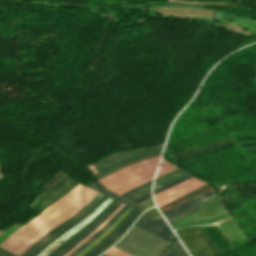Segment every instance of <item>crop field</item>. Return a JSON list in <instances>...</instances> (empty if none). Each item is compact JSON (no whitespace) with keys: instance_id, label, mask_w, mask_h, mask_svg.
Returning <instances> with one entry per match:
<instances>
[{"instance_id":"crop-field-2","label":"crop field","mask_w":256,"mask_h":256,"mask_svg":"<svg viewBox=\"0 0 256 256\" xmlns=\"http://www.w3.org/2000/svg\"><path fill=\"white\" fill-rule=\"evenodd\" d=\"M158 158L159 157H156L130 165L99 180V182L120 195L133 187L152 179L154 177Z\"/></svg>"},{"instance_id":"crop-field-20","label":"crop field","mask_w":256,"mask_h":256,"mask_svg":"<svg viewBox=\"0 0 256 256\" xmlns=\"http://www.w3.org/2000/svg\"><path fill=\"white\" fill-rule=\"evenodd\" d=\"M115 200H113L107 207H105L91 222H89L85 227L89 226L100 214H102ZM84 227V228H85ZM84 228L79 230L75 235L67 239L65 242H63L61 245H59L55 250H53L48 256H50L52 253H54L56 250H58L61 246H63L65 243H67L69 240H71L73 237H75L77 234H79Z\"/></svg>"},{"instance_id":"crop-field-16","label":"crop field","mask_w":256,"mask_h":256,"mask_svg":"<svg viewBox=\"0 0 256 256\" xmlns=\"http://www.w3.org/2000/svg\"><path fill=\"white\" fill-rule=\"evenodd\" d=\"M162 256H188L178 241H175Z\"/></svg>"},{"instance_id":"crop-field-15","label":"crop field","mask_w":256,"mask_h":256,"mask_svg":"<svg viewBox=\"0 0 256 256\" xmlns=\"http://www.w3.org/2000/svg\"><path fill=\"white\" fill-rule=\"evenodd\" d=\"M88 187H90V188H92V189H94V190H97V191H99V192H102V193H104V194H106V195L112 196V197H114L115 199H117V200H119V201H121V202H123V203H125V204H127V205H130V206H132V207H134V208H136V209H138V210H141V211H144V210H145V209H143V208L137 206L136 204H134V203H132V202H130V201H128V200H126V199H124V198H122V197H120V196H118V195H116V194H114V193H112V192H110V191H108V190L102 188L101 186L97 185V184L94 183V182L90 183Z\"/></svg>"},{"instance_id":"crop-field-13","label":"crop field","mask_w":256,"mask_h":256,"mask_svg":"<svg viewBox=\"0 0 256 256\" xmlns=\"http://www.w3.org/2000/svg\"><path fill=\"white\" fill-rule=\"evenodd\" d=\"M129 206L125 205L98 233L92 236L89 240L75 249L71 254L68 256H76L86 247H88L92 242H94L100 235H102L128 208Z\"/></svg>"},{"instance_id":"crop-field-24","label":"crop field","mask_w":256,"mask_h":256,"mask_svg":"<svg viewBox=\"0 0 256 256\" xmlns=\"http://www.w3.org/2000/svg\"><path fill=\"white\" fill-rule=\"evenodd\" d=\"M190 178H192V177L189 176V177H187V178H185V179H182V180H180V181H178V182H175V183H173V184H171V185H169V186H166V187H164V188H162V189H159V190L155 191L154 194L157 193V192H159V191H162V190H164V189H166V188H169V187H171V186H174V185H176V184H178V183H181V182H183V181H185V180H188V179H190Z\"/></svg>"},{"instance_id":"crop-field-5","label":"crop field","mask_w":256,"mask_h":256,"mask_svg":"<svg viewBox=\"0 0 256 256\" xmlns=\"http://www.w3.org/2000/svg\"><path fill=\"white\" fill-rule=\"evenodd\" d=\"M163 146H157L149 149H140L136 151H131L127 153L117 154L107 160H104L96 165L94 168L98 171L95 173V176L98 177L130 160L138 159L141 157L149 156L152 154L160 153L162 151Z\"/></svg>"},{"instance_id":"crop-field-3","label":"crop field","mask_w":256,"mask_h":256,"mask_svg":"<svg viewBox=\"0 0 256 256\" xmlns=\"http://www.w3.org/2000/svg\"><path fill=\"white\" fill-rule=\"evenodd\" d=\"M168 244L169 242L133 225L114 246L133 256H159Z\"/></svg>"},{"instance_id":"crop-field-22","label":"crop field","mask_w":256,"mask_h":256,"mask_svg":"<svg viewBox=\"0 0 256 256\" xmlns=\"http://www.w3.org/2000/svg\"><path fill=\"white\" fill-rule=\"evenodd\" d=\"M105 254H107L109 256H131V255H129L127 253H124V252H122V251H120V250H118L114 247H111L109 250H107L105 252Z\"/></svg>"},{"instance_id":"crop-field-6","label":"crop field","mask_w":256,"mask_h":256,"mask_svg":"<svg viewBox=\"0 0 256 256\" xmlns=\"http://www.w3.org/2000/svg\"><path fill=\"white\" fill-rule=\"evenodd\" d=\"M135 225L171 242L175 237L169 226L165 223L161 216L151 219L146 214H142L136 221Z\"/></svg>"},{"instance_id":"crop-field-10","label":"crop field","mask_w":256,"mask_h":256,"mask_svg":"<svg viewBox=\"0 0 256 256\" xmlns=\"http://www.w3.org/2000/svg\"><path fill=\"white\" fill-rule=\"evenodd\" d=\"M112 200L113 199H111L109 197L95 211H93L87 218H85L81 223H79L77 226H75L74 228L69 230L67 233H65L63 236H61L59 239L54 241L52 244H50L46 249H44L37 256H46L47 254H49L53 249H55L60 243H62L64 240H66L68 237H70L72 234H74L78 229L84 227L90 220H92Z\"/></svg>"},{"instance_id":"crop-field-18","label":"crop field","mask_w":256,"mask_h":256,"mask_svg":"<svg viewBox=\"0 0 256 256\" xmlns=\"http://www.w3.org/2000/svg\"><path fill=\"white\" fill-rule=\"evenodd\" d=\"M135 209H131L128 214L119 222V224L101 241H99L97 244H95L92 248H90L86 253H84L82 256H86L88 253H90L94 248H96L101 242H103L105 239H107L127 218L128 216L134 211Z\"/></svg>"},{"instance_id":"crop-field-29","label":"crop field","mask_w":256,"mask_h":256,"mask_svg":"<svg viewBox=\"0 0 256 256\" xmlns=\"http://www.w3.org/2000/svg\"><path fill=\"white\" fill-rule=\"evenodd\" d=\"M0 256H4V255H1V254H0Z\"/></svg>"},{"instance_id":"crop-field-7","label":"crop field","mask_w":256,"mask_h":256,"mask_svg":"<svg viewBox=\"0 0 256 256\" xmlns=\"http://www.w3.org/2000/svg\"><path fill=\"white\" fill-rule=\"evenodd\" d=\"M103 196V194L99 193L96 197H94L90 202H88L84 207H82L79 211H77L73 216H71L69 219L58 225L57 227L53 228L46 234H44L41 238H39L35 243H33L29 248H27L20 256H27L32 251H34L37 247H39L41 244H43L46 240H48L50 237H52L54 234H56L58 231H60L62 228L67 226L69 223H71L73 220H75L77 217H79L82 213H84L89 207H91L98 199H100Z\"/></svg>"},{"instance_id":"crop-field-21","label":"crop field","mask_w":256,"mask_h":256,"mask_svg":"<svg viewBox=\"0 0 256 256\" xmlns=\"http://www.w3.org/2000/svg\"><path fill=\"white\" fill-rule=\"evenodd\" d=\"M131 209V207H129L127 209V211L114 223V225L108 230L106 231L102 236H100L94 243H92L86 250H84L81 254H79L78 256H81L85 251H87L91 246H93L96 242H98L102 237H104L107 233H109L117 224L118 222L127 214V212ZM92 248V247H91Z\"/></svg>"},{"instance_id":"crop-field-9","label":"crop field","mask_w":256,"mask_h":256,"mask_svg":"<svg viewBox=\"0 0 256 256\" xmlns=\"http://www.w3.org/2000/svg\"><path fill=\"white\" fill-rule=\"evenodd\" d=\"M215 196L213 190H209L205 193H202L188 201H185L179 205H177L176 207L170 209L169 211L163 213L164 216L167 218V220L172 219L198 205H200L201 203L205 202L206 200H208L209 198Z\"/></svg>"},{"instance_id":"crop-field-26","label":"crop field","mask_w":256,"mask_h":256,"mask_svg":"<svg viewBox=\"0 0 256 256\" xmlns=\"http://www.w3.org/2000/svg\"><path fill=\"white\" fill-rule=\"evenodd\" d=\"M0 253H1V254H4V255H6V256H16V255H14V254H12V253H10V252L4 250V249H1V248H0Z\"/></svg>"},{"instance_id":"crop-field-28","label":"crop field","mask_w":256,"mask_h":256,"mask_svg":"<svg viewBox=\"0 0 256 256\" xmlns=\"http://www.w3.org/2000/svg\"><path fill=\"white\" fill-rule=\"evenodd\" d=\"M101 256H107V255L103 254V255H101Z\"/></svg>"},{"instance_id":"crop-field-4","label":"crop field","mask_w":256,"mask_h":256,"mask_svg":"<svg viewBox=\"0 0 256 256\" xmlns=\"http://www.w3.org/2000/svg\"><path fill=\"white\" fill-rule=\"evenodd\" d=\"M204 231L202 227L176 230L192 256H219Z\"/></svg>"},{"instance_id":"crop-field-8","label":"crop field","mask_w":256,"mask_h":256,"mask_svg":"<svg viewBox=\"0 0 256 256\" xmlns=\"http://www.w3.org/2000/svg\"><path fill=\"white\" fill-rule=\"evenodd\" d=\"M139 214L140 212L135 210L130 215V217L105 242H103L100 246H98L95 250H93L88 256L101 255L114 242L119 240V238L130 228V226L133 224V222L136 220Z\"/></svg>"},{"instance_id":"crop-field-27","label":"crop field","mask_w":256,"mask_h":256,"mask_svg":"<svg viewBox=\"0 0 256 256\" xmlns=\"http://www.w3.org/2000/svg\"><path fill=\"white\" fill-rule=\"evenodd\" d=\"M148 197H150V194H148V195H146V196H144V197H142V198H140V199H138V200H136L134 202L138 203V202H140V201H142V200H144V199H146Z\"/></svg>"},{"instance_id":"crop-field-11","label":"crop field","mask_w":256,"mask_h":256,"mask_svg":"<svg viewBox=\"0 0 256 256\" xmlns=\"http://www.w3.org/2000/svg\"><path fill=\"white\" fill-rule=\"evenodd\" d=\"M108 196H103L100 200H98L91 208H89L84 214H82L79 218H77L75 221H73L71 224H69L67 227H65L63 230L58 232L56 235H54L52 238H50L48 241H46L43 245H41L39 248H37L34 252H32L29 256H36L39 252H41L44 248H46L50 243H52L54 240L59 238L61 235H63L65 232H67L69 229L74 227L76 224H78L80 221H82L86 216H88L94 209H96L104 200H106Z\"/></svg>"},{"instance_id":"crop-field-1","label":"crop field","mask_w":256,"mask_h":256,"mask_svg":"<svg viewBox=\"0 0 256 256\" xmlns=\"http://www.w3.org/2000/svg\"><path fill=\"white\" fill-rule=\"evenodd\" d=\"M79 184L36 218L18 229L0 246L19 255L44 233L69 218L98 194Z\"/></svg>"},{"instance_id":"crop-field-17","label":"crop field","mask_w":256,"mask_h":256,"mask_svg":"<svg viewBox=\"0 0 256 256\" xmlns=\"http://www.w3.org/2000/svg\"><path fill=\"white\" fill-rule=\"evenodd\" d=\"M151 185H152V183L143 187V188H141V189H139V190H137V191H135V192H133V193H131V194H129V195H127V196H125V198H128L129 200L133 201L134 199L149 193L150 189H151Z\"/></svg>"},{"instance_id":"crop-field-14","label":"crop field","mask_w":256,"mask_h":256,"mask_svg":"<svg viewBox=\"0 0 256 256\" xmlns=\"http://www.w3.org/2000/svg\"><path fill=\"white\" fill-rule=\"evenodd\" d=\"M187 176H189V175H187V174L183 173L182 171H180L178 173H175L173 175H170L168 177H165L163 179L155 181L154 191L159 189V188H162V187H164L166 185H169V184H171V183H173L175 181H178V180H180L182 178H185Z\"/></svg>"},{"instance_id":"crop-field-25","label":"crop field","mask_w":256,"mask_h":256,"mask_svg":"<svg viewBox=\"0 0 256 256\" xmlns=\"http://www.w3.org/2000/svg\"><path fill=\"white\" fill-rule=\"evenodd\" d=\"M151 182H152V180H151V181H148V182H146V183H144V184H142V185H140L139 187H137V188H135V189H133V190H131V191H129V192H127V193L121 195V196H125V195H127V194H129V193H131V192H133V191H135V190H137L138 188H140V187H142V186H144V185H147V184H149V183H151Z\"/></svg>"},{"instance_id":"crop-field-19","label":"crop field","mask_w":256,"mask_h":256,"mask_svg":"<svg viewBox=\"0 0 256 256\" xmlns=\"http://www.w3.org/2000/svg\"><path fill=\"white\" fill-rule=\"evenodd\" d=\"M174 169L176 168L173 165L162 159L157 177Z\"/></svg>"},{"instance_id":"crop-field-23","label":"crop field","mask_w":256,"mask_h":256,"mask_svg":"<svg viewBox=\"0 0 256 256\" xmlns=\"http://www.w3.org/2000/svg\"><path fill=\"white\" fill-rule=\"evenodd\" d=\"M123 206H124V204H123L121 207H123ZM121 207H120V208H121ZM120 208H119V209H120ZM119 209H118V210H119ZM118 210H117V211H118ZM117 211H116V212H117ZM116 212H115V213H116ZM115 213H114V214H115ZM114 214H113L111 217H109V218L106 220V222H105L101 227H99L97 230H95L93 233H91V234H90L85 240H83L79 245H81L84 241H86V240H87L88 238H90L93 234H95L97 231H99V230L114 216ZM79 245H77L75 248H77ZM75 248H74V249H75ZM74 249H73V250H74ZM73 250H71L69 253H71ZM69 253H67L65 256H67Z\"/></svg>"},{"instance_id":"crop-field-12","label":"crop field","mask_w":256,"mask_h":256,"mask_svg":"<svg viewBox=\"0 0 256 256\" xmlns=\"http://www.w3.org/2000/svg\"><path fill=\"white\" fill-rule=\"evenodd\" d=\"M122 203H116L101 219H99L92 227H90L86 232L78 236L74 241H72L68 246H66L62 251H60L56 256H63L71 249H73L77 244H79L83 239H85L91 232L97 229L104 221L119 207Z\"/></svg>"}]
</instances>
